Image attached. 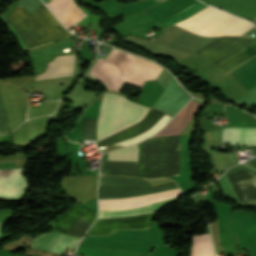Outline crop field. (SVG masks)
<instances>
[{
	"label": "crop field",
	"mask_w": 256,
	"mask_h": 256,
	"mask_svg": "<svg viewBox=\"0 0 256 256\" xmlns=\"http://www.w3.org/2000/svg\"><path fill=\"white\" fill-rule=\"evenodd\" d=\"M162 69L150 61L113 48L104 59H97L89 75L103 81L109 90L120 91L124 82L142 88L145 81L156 80Z\"/></svg>",
	"instance_id": "obj_1"
},
{
	"label": "crop field",
	"mask_w": 256,
	"mask_h": 256,
	"mask_svg": "<svg viewBox=\"0 0 256 256\" xmlns=\"http://www.w3.org/2000/svg\"><path fill=\"white\" fill-rule=\"evenodd\" d=\"M246 89L256 85V56L232 71Z\"/></svg>",
	"instance_id": "obj_13"
},
{
	"label": "crop field",
	"mask_w": 256,
	"mask_h": 256,
	"mask_svg": "<svg viewBox=\"0 0 256 256\" xmlns=\"http://www.w3.org/2000/svg\"><path fill=\"white\" fill-rule=\"evenodd\" d=\"M45 4L67 29L86 16L73 0H51Z\"/></svg>",
	"instance_id": "obj_6"
},
{
	"label": "crop field",
	"mask_w": 256,
	"mask_h": 256,
	"mask_svg": "<svg viewBox=\"0 0 256 256\" xmlns=\"http://www.w3.org/2000/svg\"><path fill=\"white\" fill-rule=\"evenodd\" d=\"M3 19L20 37L26 50L71 35L62 28L43 3L32 14L17 6Z\"/></svg>",
	"instance_id": "obj_2"
},
{
	"label": "crop field",
	"mask_w": 256,
	"mask_h": 256,
	"mask_svg": "<svg viewBox=\"0 0 256 256\" xmlns=\"http://www.w3.org/2000/svg\"><path fill=\"white\" fill-rule=\"evenodd\" d=\"M179 189L126 199L99 200L100 210H123L152 204L156 201L182 196Z\"/></svg>",
	"instance_id": "obj_5"
},
{
	"label": "crop field",
	"mask_w": 256,
	"mask_h": 256,
	"mask_svg": "<svg viewBox=\"0 0 256 256\" xmlns=\"http://www.w3.org/2000/svg\"><path fill=\"white\" fill-rule=\"evenodd\" d=\"M175 25L203 36L241 35L254 27L248 21L210 6Z\"/></svg>",
	"instance_id": "obj_4"
},
{
	"label": "crop field",
	"mask_w": 256,
	"mask_h": 256,
	"mask_svg": "<svg viewBox=\"0 0 256 256\" xmlns=\"http://www.w3.org/2000/svg\"><path fill=\"white\" fill-rule=\"evenodd\" d=\"M192 256H214L209 234L194 236Z\"/></svg>",
	"instance_id": "obj_15"
},
{
	"label": "crop field",
	"mask_w": 256,
	"mask_h": 256,
	"mask_svg": "<svg viewBox=\"0 0 256 256\" xmlns=\"http://www.w3.org/2000/svg\"><path fill=\"white\" fill-rule=\"evenodd\" d=\"M177 199H179V198L160 201V202H156V203H154L152 205H149V206L130 209V210L100 211L98 218L125 217V216H129V215H137V214L158 212L162 207L176 201Z\"/></svg>",
	"instance_id": "obj_12"
},
{
	"label": "crop field",
	"mask_w": 256,
	"mask_h": 256,
	"mask_svg": "<svg viewBox=\"0 0 256 256\" xmlns=\"http://www.w3.org/2000/svg\"><path fill=\"white\" fill-rule=\"evenodd\" d=\"M206 6L207 5L198 1V2L194 3L193 5L189 6L188 8L184 9L183 11H181V12L175 14V15H172L170 17H167L165 19H162L160 21L155 22V24L164 28L168 25H171L175 22H178V21L196 13L197 11L203 9Z\"/></svg>",
	"instance_id": "obj_14"
},
{
	"label": "crop field",
	"mask_w": 256,
	"mask_h": 256,
	"mask_svg": "<svg viewBox=\"0 0 256 256\" xmlns=\"http://www.w3.org/2000/svg\"><path fill=\"white\" fill-rule=\"evenodd\" d=\"M172 117L168 116V115H164L160 120H158L151 128H149L148 130H146L145 132L136 135L132 138H129L123 142H120L116 145H122V146H127L130 145L132 143L144 140L146 138H148L149 136L155 134L162 126H164Z\"/></svg>",
	"instance_id": "obj_16"
},
{
	"label": "crop field",
	"mask_w": 256,
	"mask_h": 256,
	"mask_svg": "<svg viewBox=\"0 0 256 256\" xmlns=\"http://www.w3.org/2000/svg\"><path fill=\"white\" fill-rule=\"evenodd\" d=\"M200 106L201 103L190 100L178 115L153 137L180 134Z\"/></svg>",
	"instance_id": "obj_9"
},
{
	"label": "crop field",
	"mask_w": 256,
	"mask_h": 256,
	"mask_svg": "<svg viewBox=\"0 0 256 256\" xmlns=\"http://www.w3.org/2000/svg\"><path fill=\"white\" fill-rule=\"evenodd\" d=\"M3 223H4V222H0V231H1V229H2Z\"/></svg>",
	"instance_id": "obj_19"
},
{
	"label": "crop field",
	"mask_w": 256,
	"mask_h": 256,
	"mask_svg": "<svg viewBox=\"0 0 256 256\" xmlns=\"http://www.w3.org/2000/svg\"><path fill=\"white\" fill-rule=\"evenodd\" d=\"M148 111L149 108L106 92L97 122V142L137 123Z\"/></svg>",
	"instance_id": "obj_3"
},
{
	"label": "crop field",
	"mask_w": 256,
	"mask_h": 256,
	"mask_svg": "<svg viewBox=\"0 0 256 256\" xmlns=\"http://www.w3.org/2000/svg\"><path fill=\"white\" fill-rule=\"evenodd\" d=\"M78 241V238L48 232L37 237L33 241L32 247L62 253L65 247L74 249Z\"/></svg>",
	"instance_id": "obj_8"
},
{
	"label": "crop field",
	"mask_w": 256,
	"mask_h": 256,
	"mask_svg": "<svg viewBox=\"0 0 256 256\" xmlns=\"http://www.w3.org/2000/svg\"><path fill=\"white\" fill-rule=\"evenodd\" d=\"M23 168L0 170V195L21 198L27 184Z\"/></svg>",
	"instance_id": "obj_7"
},
{
	"label": "crop field",
	"mask_w": 256,
	"mask_h": 256,
	"mask_svg": "<svg viewBox=\"0 0 256 256\" xmlns=\"http://www.w3.org/2000/svg\"><path fill=\"white\" fill-rule=\"evenodd\" d=\"M9 128L7 126V115L3 109L1 100H0V134L4 132H9Z\"/></svg>",
	"instance_id": "obj_18"
},
{
	"label": "crop field",
	"mask_w": 256,
	"mask_h": 256,
	"mask_svg": "<svg viewBox=\"0 0 256 256\" xmlns=\"http://www.w3.org/2000/svg\"><path fill=\"white\" fill-rule=\"evenodd\" d=\"M74 58V55L56 56L53 61L48 63L46 71L37 75L34 80L71 75Z\"/></svg>",
	"instance_id": "obj_10"
},
{
	"label": "crop field",
	"mask_w": 256,
	"mask_h": 256,
	"mask_svg": "<svg viewBox=\"0 0 256 256\" xmlns=\"http://www.w3.org/2000/svg\"><path fill=\"white\" fill-rule=\"evenodd\" d=\"M138 146H131L109 153L108 160L137 161Z\"/></svg>",
	"instance_id": "obj_17"
},
{
	"label": "crop field",
	"mask_w": 256,
	"mask_h": 256,
	"mask_svg": "<svg viewBox=\"0 0 256 256\" xmlns=\"http://www.w3.org/2000/svg\"><path fill=\"white\" fill-rule=\"evenodd\" d=\"M223 142L256 145V129L224 128Z\"/></svg>",
	"instance_id": "obj_11"
}]
</instances>
